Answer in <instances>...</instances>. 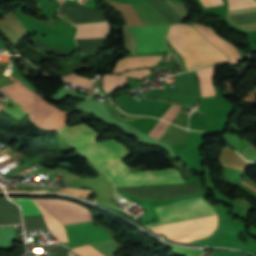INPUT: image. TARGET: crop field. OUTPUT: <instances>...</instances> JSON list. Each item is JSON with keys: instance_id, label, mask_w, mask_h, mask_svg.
Wrapping results in <instances>:
<instances>
[{"instance_id": "crop-field-1", "label": "crop field", "mask_w": 256, "mask_h": 256, "mask_svg": "<svg viewBox=\"0 0 256 256\" xmlns=\"http://www.w3.org/2000/svg\"><path fill=\"white\" fill-rule=\"evenodd\" d=\"M171 172L177 171L174 169H164L160 171H142L138 173H127V175ZM174 183H185L184 180L180 178V173L124 176L117 183L116 186ZM155 209L162 221L149 224V228L216 215L214 209L209 204H207L202 199V197L183 200L168 205L157 206L155 207Z\"/></svg>"}, {"instance_id": "crop-field-2", "label": "crop field", "mask_w": 256, "mask_h": 256, "mask_svg": "<svg viewBox=\"0 0 256 256\" xmlns=\"http://www.w3.org/2000/svg\"><path fill=\"white\" fill-rule=\"evenodd\" d=\"M73 128L81 138L100 151L122 175L129 170V167L122 162V160L131 155L125 146L115 142L114 140L98 143L96 140L100 134L86 126L84 123L73 125ZM73 128L72 126L68 127L66 125L59 131L71 145L90 157L97 166L113 180L114 183L122 178L123 176L110 164V162L94 147L81 139Z\"/></svg>"}, {"instance_id": "crop-field-3", "label": "crop field", "mask_w": 256, "mask_h": 256, "mask_svg": "<svg viewBox=\"0 0 256 256\" xmlns=\"http://www.w3.org/2000/svg\"><path fill=\"white\" fill-rule=\"evenodd\" d=\"M166 40L182 56L188 70L228 62L224 53L212 46L189 25H172Z\"/></svg>"}, {"instance_id": "crop-field-4", "label": "crop field", "mask_w": 256, "mask_h": 256, "mask_svg": "<svg viewBox=\"0 0 256 256\" xmlns=\"http://www.w3.org/2000/svg\"><path fill=\"white\" fill-rule=\"evenodd\" d=\"M49 210L63 225L90 221L89 210L68 201L33 199Z\"/></svg>"}, {"instance_id": "crop-field-5", "label": "crop field", "mask_w": 256, "mask_h": 256, "mask_svg": "<svg viewBox=\"0 0 256 256\" xmlns=\"http://www.w3.org/2000/svg\"><path fill=\"white\" fill-rule=\"evenodd\" d=\"M168 26L129 27L136 38L138 52L168 51L164 45Z\"/></svg>"}, {"instance_id": "crop-field-6", "label": "crop field", "mask_w": 256, "mask_h": 256, "mask_svg": "<svg viewBox=\"0 0 256 256\" xmlns=\"http://www.w3.org/2000/svg\"><path fill=\"white\" fill-rule=\"evenodd\" d=\"M70 241V248L110 240L107 234L91 223H80L65 226Z\"/></svg>"}, {"instance_id": "crop-field-7", "label": "crop field", "mask_w": 256, "mask_h": 256, "mask_svg": "<svg viewBox=\"0 0 256 256\" xmlns=\"http://www.w3.org/2000/svg\"><path fill=\"white\" fill-rule=\"evenodd\" d=\"M163 56L127 57L116 63L113 72L121 73L124 70L136 67H150L157 65Z\"/></svg>"}, {"instance_id": "crop-field-8", "label": "crop field", "mask_w": 256, "mask_h": 256, "mask_svg": "<svg viewBox=\"0 0 256 256\" xmlns=\"http://www.w3.org/2000/svg\"><path fill=\"white\" fill-rule=\"evenodd\" d=\"M193 25L203 34V36L208 41L212 42L213 44L218 46L220 49H222L229 56L231 63L241 61L237 53V50L234 47L227 44L226 42H224L223 40H221L220 38H218L217 35L211 29H208L204 26H199L197 24H193Z\"/></svg>"}, {"instance_id": "crop-field-9", "label": "crop field", "mask_w": 256, "mask_h": 256, "mask_svg": "<svg viewBox=\"0 0 256 256\" xmlns=\"http://www.w3.org/2000/svg\"><path fill=\"white\" fill-rule=\"evenodd\" d=\"M76 39L106 37L109 29L107 22L78 24Z\"/></svg>"}, {"instance_id": "crop-field-10", "label": "crop field", "mask_w": 256, "mask_h": 256, "mask_svg": "<svg viewBox=\"0 0 256 256\" xmlns=\"http://www.w3.org/2000/svg\"><path fill=\"white\" fill-rule=\"evenodd\" d=\"M221 165L243 170L247 162H245L237 153L226 147L221 150L219 160Z\"/></svg>"}, {"instance_id": "crop-field-11", "label": "crop field", "mask_w": 256, "mask_h": 256, "mask_svg": "<svg viewBox=\"0 0 256 256\" xmlns=\"http://www.w3.org/2000/svg\"><path fill=\"white\" fill-rule=\"evenodd\" d=\"M196 74L200 80L201 96H216L211 82L213 75V67L198 70L196 71Z\"/></svg>"}, {"instance_id": "crop-field-12", "label": "crop field", "mask_w": 256, "mask_h": 256, "mask_svg": "<svg viewBox=\"0 0 256 256\" xmlns=\"http://www.w3.org/2000/svg\"><path fill=\"white\" fill-rule=\"evenodd\" d=\"M41 210L43 217L48 225L49 230L58 238L60 242H68L65 229L59 222L49 214L45 209H43L39 204L35 203Z\"/></svg>"}, {"instance_id": "crop-field-13", "label": "crop field", "mask_w": 256, "mask_h": 256, "mask_svg": "<svg viewBox=\"0 0 256 256\" xmlns=\"http://www.w3.org/2000/svg\"><path fill=\"white\" fill-rule=\"evenodd\" d=\"M125 81H126V77L104 74L103 76L104 91L110 93L114 89L120 86H124Z\"/></svg>"}, {"instance_id": "crop-field-14", "label": "crop field", "mask_w": 256, "mask_h": 256, "mask_svg": "<svg viewBox=\"0 0 256 256\" xmlns=\"http://www.w3.org/2000/svg\"><path fill=\"white\" fill-rule=\"evenodd\" d=\"M22 207L23 216L41 215L34 202L28 199H12Z\"/></svg>"}, {"instance_id": "crop-field-15", "label": "crop field", "mask_w": 256, "mask_h": 256, "mask_svg": "<svg viewBox=\"0 0 256 256\" xmlns=\"http://www.w3.org/2000/svg\"><path fill=\"white\" fill-rule=\"evenodd\" d=\"M229 10L256 7V3L253 0H228Z\"/></svg>"}, {"instance_id": "crop-field-16", "label": "crop field", "mask_w": 256, "mask_h": 256, "mask_svg": "<svg viewBox=\"0 0 256 256\" xmlns=\"http://www.w3.org/2000/svg\"><path fill=\"white\" fill-rule=\"evenodd\" d=\"M63 79L72 81L74 83L85 86L87 88H91L92 84L95 81V80L86 79L78 74H71V75L64 77Z\"/></svg>"}, {"instance_id": "crop-field-17", "label": "crop field", "mask_w": 256, "mask_h": 256, "mask_svg": "<svg viewBox=\"0 0 256 256\" xmlns=\"http://www.w3.org/2000/svg\"><path fill=\"white\" fill-rule=\"evenodd\" d=\"M168 126L169 123L159 120L148 135L159 139V137L162 135V133L166 130Z\"/></svg>"}, {"instance_id": "crop-field-18", "label": "crop field", "mask_w": 256, "mask_h": 256, "mask_svg": "<svg viewBox=\"0 0 256 256\" xmlns=\"http://www.w3.org/2000/svg\"><path fill=\"white\" fill-rule=\"evenodd\" d=\"M22 156V154H19L18 152H14L13 150L9 151L5 155L0 157V167L13 161L14 159Z\"/></svg>"}, {"instance_id": "crop-field-19", "label": "crop field", "mask_w": 256, "mask_h": 256, "mask_svg": "<svg viewBox=\"0 0 256 256\" xmlns=\"http://www.w3.org/2000/svg\"><path fill=\"white\" fill-rule=\"evenodd\" d=\"M180 107L172 105L162 116V119L172 122L175 116L178 114Z\"/></svg>"}, {"instance_id": "crop-field-20", "label": "crop field", "mask_w": 256, "mask_h": 256, "mask_svg": "<svg viewBox=\"0 0 256 256\" xmlns=\"http://www.w3.org/2000/svg\"><path fill=\"white\" fill-rule=\"evenodd\" d=\"M151 71L148 69H143V70H136V71H130V72H125L123 75H130L138 80L142 79L144 76H146L148 73Z\"/></svg>"}, {"instance_id": "crop-field-21", "label": "crop field", "mask_w": 256, "mask_h": 256, "mask_svg": "<svg viewBox=\"0 0 256 256\" xmlns=\"http://www.w3.org/2000/svg\"><path fill=\"white\" fill-rule=\"evenodd\" d=\"M68 248L59 246L58 250H50L49 256H67Z\"/></svg>"}, {"instance_id": "crop-field-22", "label": "crop field", "mask_w": 256, "mask_h": 256, "mask_svg": "<svg viewBox=\"0 0 256 256\" xmlns=\"http://www.w3.org/2000/svg\"><path fill=\"white\" fill-rule=\"evenodd\" d=\"M12 84V82L6 78L2 73H0V87H3L5 85Z\"/></svg>"}, {"instance_id": "crop-field-23", "label": "crop field", "mask_w": 256, "mask_h": 256, "mask_svg": "<svg viewBox=\"0 0 256 256\" xmlns=\"http://www.w3.org/2000/svg\"><path fill=\"white\" fill-rule=\"evenodd\" d=\"M91 221H92V220H91ZM92 222L95 223V224H97L98 226H100V227L110 236L111 240H113V235H112V233H111L110 230H108L106 227H104V226H102V225H100V224H98V223H96V222H94V221H92Z\"/></svg>"}, {"instance_id": "crop-field-24", "label": "crop field", "mask_w": 256, "mask_h": 256, "mask_svg": "<svg viewBox=\"0 0 256 256\" xmlns=\"http://www.w3.org/2000/svg\"><path fill=\"white\" fill-rule=\"evenodd\" d=\"M210 1L212 2L213 6L222 5L221 0H210Z\"/></svg>"}, {"instance_id": "crop-field-25", "label": "crop field", "mask_w": 256, "mask_h": 256, "mask_svg": "<svg viewBox=\"0 0 256 256\" xmlns=\"http://www.w3.org/2000/svg\"><path fill=\"white\" fill-rule=\"evenodd\" d=\"M171 56H172L171 53H167L166 58H165L164 61H170L171 60Z\"/></svg>"}, {"instance_id": "crop-field-26", "label": "crop field", "mask_w": 256, "mask_h": 256, "mask_svg": "<svg viewBox=\"0 0 256 256\" xmlns=\"http://www.w3.org/2000/svg\"><path fill=\"white\" fill-rule=\"evenodd\" d=\"M245 186H247L248 188H250V189H252L253 191H255L256 192V189L255 188H253V187H251V186H249L247 183H243Z\"/></svg>"}, {"instance_id": "crop-field-27", "label": "crop field", "mask_w": 256, "mask_h": 256, "mask_svg": "<svg viewBox=\"0 0 256 256\" xmlns=\"http://www.w3.org/2000/svg\"><path fill=\"white\" fill-rule=\"evenodd\" d=\"M68 256H75V255L69 251Z\"/></svg>"}, {"instance_id": "crop-field-28", "label": "crop field", "mask_w": 256, "mask_h": 256, "mask_svg": "<svg viewBox=\"0 0 256 256\" xmlns=\"http://www.w3.org/2000/svg\"><path fill=\"white\" fill-rule=\"evenodd\" d=\"M4 107V105L0 104V110Z\"/></svg>"}, {"instance_id": "crop-field-29", "label": "crop field", "mask_w": 256, "mask_h": 256, "mask_svg": "<svg viewBox=\"0 0 256 256\" xmlns=\"http://www.w3.org/2000/svg\"><path fill=\"white\" fill-rule=\"evenodd\" d=\"M60 4L64 1V0H57Z\"/></svg>"}, {"instance_id": "crop-field-30", "label": "crop field", "mask_w": 256, "mask_h": 256, "mask_svg": "<svg viewBox=\"0 0 256 256\" xmlns=\"http://www.w3.org/2000/svg\"><path fill=\"white\" fill-rule=\"evenodd\" d=\"M0 189H2V188L0 187Z\"/></svg>"}]
</instances>
